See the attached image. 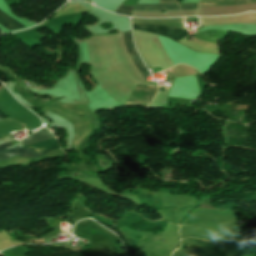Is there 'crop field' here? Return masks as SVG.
Instances as JSON below:
<instances>
[{
    "instance_id": "crop-field-1",
    "label": "crop field",
    "mask_w": 256,
    "mask_h": 256,
    "mask_svg": "<svg viewBox=\"0 0 256 256\" xmlns=\"http://www.w3.org/2000/svg\"><path fill=\"white\" fill-rule=\"evenodd\" d=\"M30 138L31 139L29 141L23 142V145L53 139L54 136L49 132L48 129L43 128V129L37 131L36 134L30 136ZM10 145H12V144L9 142L4 143V144L0 145V150L8 147ZM24 147L30 148V149H35V150L39 149V150H41L40 152L42 153V155H44L48 152L58 149L59 144L56 141V139H53V140H49V141L26 145ZM26 148H16V149H11V150L4 149V150L0 151V160H6V159H8L14 155H18V154H20V156H22V157H27V158L41 156L40 152L33 153L29 149H26Z\"/></svg>"
},
{
    "instance_id": "crop-field-2",
    "label": "crop field",
    "mask_w": 256,
    "mask_h": 256,
    "mask_svg": "<svg viewBox=\"0 0 256 256\" xmlns=\"http://www.w3.org/2000/svg\"><path fill=\"white\" fill-rule=\"evenodd\" d=\"M139 51L151 69L160 67L162 71L172 67L162 51L156 35L134 30Z\"/></svg>"
},
{
    "instance_id": "crop-field-3",
    "label": "crop field",
    "mask_w": 256,
    "mask_h": 256,
    "mask_svg": "<svg viewBox=\"0 0 256 256\" xmlns=\"http://www.w3.org/2000/svg\"><path fill=\"white\" fill-rule=\"evenodd\" d=\"M132 22L168 25V26H175V27L185 29L183 18L165 19V20L132 19ZM132 27H133V29H136V30H142V31H147L150 33L162 35L167 38H171L177 42L180 41L183 37L189 35L188 31H185L186 29L179 30V29H175V28L137 25V24H132Z\"/></svg>"
},
{
    "instance_id": "crop-field-4",
    "label": "crop field",
    "mask_w": 256,
    "mask_h": 256,
    "mask_svg": "<svg viewBox=\"0 0 256 256\" xmlns=\"http://www.w3.org/2000/svg\"><path fill=\"white\" fill-rule=\"evenodd\" d=\"M120 231L125 236L129 247L132 248L133 246H136L140 249L139 251H141L143 248H145L149 244L157 241L162 236V233H157L155 236H153L154 233L136 232L128 229L127 227L121 228ZM137 236H142L143 238L141 240H135L134 238H136ZM146 238H148L149 240L147 242H143V240H145Z\"/></svg>"
},
{
    "instance_id": "crop-field-5",
    "label": "crop field",
    "mask_w": 256,
    "mask_h": 256,
    "mask_svg": "<svg viewBox=\"0 0 256 256\" xmlns=\"http://www.w3.org/2000/svg\"><path fill=\"white\" fill-rule=\"evenodd\" d=\"M158 88L137 85L127 102L149 103L156 94ZM126 103L127 106H144L147 104Z\"/></svg>"
},
{
    "instance_id": "crop-field-6",
    "label": "crop field",
    "mask_w": 256,
    "mask_h": 256,
    "mask_svg": "<svg viewBox=\"0 0 256 256\" xmlns=\"http://www.w3.org/2000/svg\"><path fill=\"white\" fill-rule=\"evenodd\" d=\"M123 36H124L127 51L131 57V60L134 64L135 68L141 75L144 82H147L148 80L146 79V77L149 76V73L134 48L131 32L129 31V32L123 33Z\"/></svg>"
},
{
    "instance_id": "crop-field-7",
    "label": "crop field",
    "mask_w": 256,
    "mask_h": 256,
    "mask_svg": "<svg viewBox=\"0 0 256 256\" xmlns=\"http://www.w3.org/2000/svg\"><path fill=\"white\" fill-rule=\"evenodd\" d=\"M197 3L136 5L134 10H185L196 9Z\"/></svg>"
},
{
    "instance_id": "crop-field-8",
    "label": "crop field",
    "mask_w": 256,
    "mask_h": 256,
    "mask_svg": "<svg viewBox=\"0 0 256 256\" xmlns=\"http://www.w3.org/2000/svg\"><path fill=\"white\" fill-rule=\"evenodd\" d=\"M249 3H256V0H200V4H214V6H231Z\"/></svg>"
},
{
    "instance_id": "crop-field-9",
    "label": "crop field",
    "mask_w": 256,
    "mask_h": 256,
    "mask_svg": "<svg viewBox=\"0 0 256 256\" xmlns=\"http://www.w3.org/2000/svg\"><path fill=\"white\" fill-rule=\"evenodd\" d=\"M0 18H2L3 20H5L6 22H8L9 24H11L12 26H14L17 29L20 28H25L20 22L14 20L12 17H10L8 14H6L5 12H3L2 10H0ZM2 19H0V24L2 26H4L5 28H7L8 30L12 31V30H16L14 27H12L11 25H9L8 23H6L5 21H3Z\"/></svg>"
},
{
    "instance_id": "crop-field-10",
    "label": "crop field",
    "mask_w": 256,
    "mask_h": 256,
    "mask_svg": "<svg viewBox=\"0 0 256 256\" xmlns=\"http://www.w3.org/2000/svg\"><path fill=\"white\" fill-rule=\"evenodd\" d=\"M138 2V0H125L123 1L124 4L135 6V4ZM121 4L120 7L117 9V14H123V15H132L133 8L132 6Z\"/></svg>"
},
{
    "instance_id": "crop-field-11",
    "label": "crop field",
    "mask_w": 256,
    "mask_h": 256,
    "mask_svg": "<svg viewBox=\"0 0 256 256\" xmlns=\"http://www.w3.org/2000/svg\"><path fill=\"white\" fill-rule=\"evenodd\" d=\"M1 117V116H0ZM0 120H3V119H0ZM3 136H0V139L2 138Z\"/></svg>"
}]
</instances>
